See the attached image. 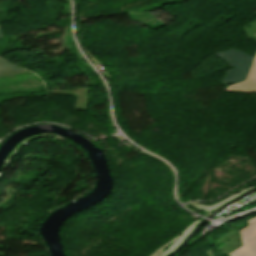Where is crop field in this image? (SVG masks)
Returning a JSON list of instances; mask_svg holds the SVG:
<instances>
[{
    "label": "crop field",
    "mask_w": 256,
    "mask_h": 256,
    "mask_svg": "<svg viewBox=\"0 0 256 256\" xmlns=\"http://www.w3.org/2000/svg\"><path fill=\"white\" fill-rule=\"evenodd\" d=\"M47 90L49 94L75 96L73 109L86 110L88 103V88L54 87Z\"/></svg>",
    "instance_id": "34b2d1b8"
},
{
    "label": "crop field",
    "mask_w": 256,
    "mask_h": 256,
    "mask_svg": "<svg viewBox=\"0 0 256 256\" xmlns=\"http://www.w3.org/2000/svg\"><path fill=\"white\" fill-rule=\"evenodd\" d=\"M27 72L25 69H20L10 63L0 59V77L8 75H16Z\"/></svg>",
    "instance_id": "dd49c442"
},
{
    "label": "crop field",
    "mask_w": 256,
    "mask_h": 256,
    "mask_svg": "<svg viewBox=\"0 0 256 256\" xmlns=\"http://www.w3.org/2000/svg\"><path fill=\"white\" fill-rule=\"evenodd\" d=\"M215 55L233 67L226 71V76L223 80L224 83L232 84L245 80L247 72L252 64L253 57L234 49L220 51L215 53Z\"/></svg>",
    "instance_id": "8a807250"
},
{
    "label": "crop field",
    "mask_w": 256,
    "mask_h": 256,
    "mask_svg": "<svg viewBox=\"0 0 256 256\" xmlns=\"http://www.w3.org/2000/svg\"><path fill=\"white\" fill-rule=\"evenodd\" d=\"M200 222V220L196 221L192 225H190L186 230H184L181 235L177 238V240L170 245L168 248L165 249V251L161 254V256H166L169 254L172 250L180 246L183 241L186 239V237L190 234V232L197 226V224Z\"/></svg>",
    "instance_id": "f4fd0767"
},
{
    "label": "crop field",
    "mask_w": 256,
    "mask_h": 256,
    "mask_svg": "<svg viewBox=\"0 0 256 256\" xmlns=\"http://www.w3.org/2000/svg\"><path fill=\"white\" fill-rule=\"evenodd\" d=\"M253 188H255V186H253L251 188H248V189H245V190H243V191H241V192H239V193H237V194H235V195H233V196H231V197H229V198H227V199H225V200H223V201H221L217 204L211 205V206H206V205H192V206L198 208L201 211L211 212V211L215 210L216 208L224 205L226 202L236 198L237 196H239V195H241V194H243V193H245V192H247V191H249Z\"/></svg>",
    "instance_id": "e52e79f7"
},
{
    "label": "crop field",
    "mask_w": 256,
    "mask_h": 256,
    "mask_svg": "<svg viewBox=\"0 0 256 256\" xmlns=\"http://www.w3.org/2000/svg\"><path fill=\"white\" fill-rule=\"evenodd\" d=\"M246 223L248 226L240 231L243 246L227 256H256V217Z\"/></svg>",
    "instance_id": "ac0d7876"
},
{
    "label": "crop field",
    "mask_w": 256,
    "mask_h": 256,
    "mask_svg": "<svg viewBox=\"0 0 256 256\" xmlns=\"http://www.w3.org/2000/svg\"><path fill=\"white\" fill-rule=\"evenodd\" d=\"M255 15H256V12H255ZM243 30H244L246 36H248L249 38H251L250 36L255 35L256 34V20L245 25Z\"/></svg>",
    "instance_id": "d8731c3e"
},
{
    "label": "crop field",
    "mask_w": 256,
    "mask_h": 256,
    "mask_svg": "<svg viewBox=\"0 0 256 256\" xmlns=\"http://www.w3.org/2000/svg\"><path fill=\"white\" fill-rule=\"evenodd\" d=\"M226 91H235L243 93L256 92V58L251 67L247 80L245 82L229 86Z\"/></svg>",
    "instance_id": "412701ff"
},
{
    "label": "crop field",
    "mask_w": 256,
    "mask_h": 256,
    "mask_svg": "<svg viewBox=\"0 0 256 256\" xmlns=\"http://www.w3.org/2000/svg\"><path fill=\"white\" fill-rule=\"evenodd\" d=\"M1 37H4V35H3V32H2V30H1V28H0V38Z\"/></svg>",
    "instance_id": "5a996713"
}]
</instances>
